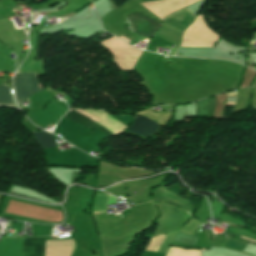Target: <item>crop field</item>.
Segmentation results:
<instances>
[{"instance_id": "8a807250", "label": "crop field", "mask_w": 256, "mask_h": 256, "mask_svg": "<svg viewBox=\"0 0 256 256\" xmlns=\"http://www.w3.org/2000/svg\"><path fill=\"white\" fill-rule=\"evenodd\" d=\"M14 85L18 104L26 100L31 95L41 91L37 85L34 73H17L14 80Z\"/></svg>"}, {"instance_id": "ac0d7876", "label": "crop field", "mask_w": 256, "mask_h": 256, "mask_svg": "<svg viewBox=\"0 0 256 256\" xmlns=\"http://www.w3.org/2000/svg\"><path fill=\"white\" fill-rule=\"evenodd\" d=\"M127 17L131 21L135 32L142 36L152 37L156 29L160 26V23L157 21L138 12Z\"/></svg>"}, {"instance_id": "34b2d1b8", "label": "crop field", "mask_w": 256, "mask_h": 256, "mask_svg": "<svg viewBox=\"0 0 256 256\" xmlns=\"http://www.w3.org/2000/svg\"><path fill=\"white\" fill-rule=\"evenodd\" d=\"M45 237L22 238L20 256H43Z\"/></svg>"}, {"instance_id": "412701ff", "label": "crop field", "mask_w": 256, "mask_h": 256, "mask_svg": "<svg viewBox=\"0 0 256 256\" xmlns=\"http://www.w3.org/2000/svg\"><path fill=\"white\" fill-rule=\"evenodd\" d=\"M157 128L156 124L136 115V120L132 123L127 132L147 136L153 133Z\"/></svg>"}, {"instance_id": "f4fd0767", "label": "crop field", "mask_w": 256, "mask_h": 256, "mask_svg": "<svg viewBox=\"0 0 256 256\" xmlns=\"http://www.w3.org/2000/svg\"><path fill=\"white\" fill-rule=\"evenodd\" d=\"M66 116L70 117L71 119L77 121L78 123L82 124L83 126H85L87 128L98 129V130L102 131L104 133V135L107 137L115 135V133L112 130H110L92 120H89L74 111H68Z\"/></svg>"}, {"instance_id": "dd49c442", "label": "crop field", "mask_w": 256, "mask_h": 256, "mask_svg": "<svg viewBox=\"0 0 256 256\" xmlns=\"http://www.w3.org/2000/svg\"><path fill=\"white\" fill-rule=\"evenodd\" d=\"M33 135L38 140L43 149L56 146L52 136L44 131L34 132Z\"/></svg>"}, {"instance_id": "e52e79f7", "label": "crop field", "mask_w": 256, "mask_h": 256, "mask_svg": "<svg viewBox=\"0 0 256 256\" xmlns=\"http://www.w3.org/2000/svg\"><path fill=\"white\" fill-rule=\"evenodd\" d=\"M0 103L9 106H14L10 88L4 84L0 85Z\"/></svg>"}, {"instance_id": "d8731c3e", "label": "crop field", "mask_w": 256, "mask_h": 256, "mask_svg": "<svg viewBox=\"0 0 256 256\" xmlns=\"http://www.w3.org/2000/svg\"><path fill=\"white\" fill-rule=\"evenodd\" d=\"M196 240H197V237L179 233L174 241L175 242H180V243L194 245Z\"/></svg>"}, {"instance_id": "5a996713", "label": "crop field", "mask_w": 256, "mask_h": 256, "mask_svg": "<svg viewBox=\"0 0 256 256\" xmlns=\"http://www.w3.org/2000/svg\"><path fill=\"white\" fill-rule=\"evenodd\" d=\"M246 244L247 242L240 241L234 238H229V241L225 246L242 250Z\"/></svg>"}, {"instance_id": "3316defc", "label": "crop field", "mask_w": 256, "mask_h": 256, "mask_svg": "<svg viewBox=\"0 0 256 256\" xmlns=\"http://www.w3.org/2000/svg\"><path fill=\"white\" fill-rule=\"evenodd\" d=\"M226 234H229V235H235V234H231V233H226ZM235 236H238V235H235ZM241 238L245 239V240H248V241H253V242H256L255 240H251V239H248V238H245V237H242Z\"/></svg>"}, {"instance_id": "28ad6ade", "label": "crop field", "mask_w": 256, "mask_h": 256, "mask_svg": "<svg viewBox=\"0 0 256 256\" xmlns=\"http://www.w3.org/2000/svg\"><path fill=\"white\" fill-rule=\"evenodd\" d=\"M120 37V36H119ZM122 38V37H121ZM124 39V38H123ZM124 40H126L127 42L129 41V40H127V39H124Z\"/></svg>"}, {"instance_id": "d1516ede", "label": "crop field", "mask_w": 256, "mask_h": 256, "mask_svg": "<svg viewBox=\"0 0 256 256\" xmlns=\"http://www.w3.org/2000/svg\"><path fill=\"white\" fill-rule=\"evenodd\" d=\"M95 213H98V212H95Z\"/></svg>"}]
</instances>
